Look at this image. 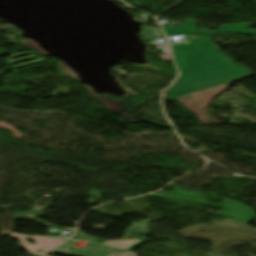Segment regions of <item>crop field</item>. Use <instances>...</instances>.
Instances as JSON below:
<instances>
[{"label": "crop field", "mask_w": 256, "mask_h": 256, "mask_svg": "<svg viewBox=\"0 0 256 256\" xmlns=\"http://www.w3.org/2000/svg\"><path fill=\"white\" fill-rule=\"evenodd\" d=\"M172 47L182 75L168 91L167 100L255 74L233 64L216 49L209 36Z\"/></svg>", "instance_id": "8a807250"}, {"label": "crop field", "mask_w": 256, "mask_h": 256, "mask_svg": "<svg viewBox=\"0 0 256 256\" xmlns=\"http://www.w3.org/2000/svg\"><path fill=\"white\" fill-rule=\"evenodd\" d=\"M2 233L9 234V235H12L13 237L19 238L23 243V245L26 247V249L35 254H44L63 241L62 239H54V238H47V237H41V236L28 237V236L18 235L14 233H9V232H2ZM24 238L33 239L38 243L35 245H30L27 241L24 240ZM35 249H40L45 251L43 253H38L35 251Z\"/></svg>", "instance_id": "ac0d7876"}, {"label": "crop field", "mask_w": 256, "mask_h": 256, "mask_svg": "<svg viewBox=\"0 0 256 256\" xmlns=\"http://www.w3.org/2000/svg\"><path fill=\"white\" fill-rule=\"evenodd\" d=\"M250 26H251V24L225 25V26H222L220 31H214V32H203L202 31L199 34H201L202 36H205V35L212 36L214 34H223V33L231 32V33L256 35V32H252L249 29Z\"/></svg>", "instance_id": "34b2d1b8"}, {"label": "crop field", "mask_w": 256, "mask_h": 256, "mask_svg": "<svg viewBox=\"0 0 256 256\" xmlns=\"http://www.w3.org/2000/svg\"><path fill=\"white\" fill-rule=\"evenodd\" d=\"M185 25L187 27H184ZM162 27L164 28L168 36L194 34L201 31L197 27H195L194 20H187L181 27H178V28H169L165 26H162Z\"/></svg>", "instance_id": "412701ff"}, {"label": "crop field", "mask_w": 256, "mask_h": 256, "mask_svg": "<svg viewBox=\"0 0 256 256\" xmlns=\"http://www.w3.org/2000/svg\"><path fill=\"white\" fill-rule=\"evenodd\" d=\"M150 220L138 222L127 229L126 232L148 233V224Z\"/></svg>", "instance_id": "f4fd0767"}, {"label": "crop field", "mask_w": 256, "mask_h": 256, "mask_svg": "<svg viewBox=\"0 0 256 256\" xmlns=\"http://www.w3.org/2000/svg\"><path fill=\"white\" fill-rule=\"evenodd\" d=\"M140 240H132V241H107L103 244L108 245L110 247H114V248H122V249H126L128 247H130L131 245L137 243Z\"/></svg>", "instance_id": "dd49c442"}, {"label": "crop field", "mask_w": 256, "mask_h": 256, "mask_svg": "<svg viewBox=\"0 0 256 256\" xmlns=\"http://www.w3.org/2000/svg\"><path fill=\"white\" fill-rule=\"evenodd\" d=\"M39 215H43V214H41L39 212H33V213L25 212V213H22V214L14 216V218L20 219V218H23V217H27V218H29L31 220H34V221H37V222H39V223H41L43 225H49V224H46V223L42 222L39 219H35V217L39 216Z\"/></svg>", "instance_id": "e52e79f7"}, {"label": "crop field", "mask_w": 256, "mask_h": 256, "mask_svg": "<svg viewBox=\"0 0 256 256\" xmlns=\"http://www.w3.org/2000/svg\"><path fill=\"white\" fill-rule=\"evenodd\" d=\"M74 243L72 241H67L66 245L65 246H62V247H59L57 248L56 250H54V252H58V253H63V254H67V255H70V251H67V250H64L62 249L63 247H68V248H72V245Z\"/></svg>", "instance_id": "d8731c3e"}, {"label": "crop field", "mask_w": 256, "mask_h": 256, "mask_svg": "<svg viewBox=\"0 0 256 256\" xmlns=\"http://www.w3.org/2000/svg\"><path fill=\"white\" fill-rule=\"evenodd\" d=\"M160 46L163 47V50H164V54L162 56H160V58H166V62L170 63L171 59H170V56H169L167 46H164V45H160Z\"/></svg>", "instance_id": "5a996713"}, {"label": "crop field", "mask_w": 256, "mask_h": 256, "mask_svg": "<svg viewBox=\"0 0 256 256\" xmlns=\"http://www.w3.org/2000/svg\"><path fill=\"white\" fill-rule=\"evenodd\" d=\"M100 194H102V192L92 190L91 191V198H90L89 201H87V203H91L92 205H94L93 202H96V200H93V196H96L97 199H98Z\"/></svg>", "instance_id": "3316defc"}, {"label": "crop field", "mask_w": 256, "mask_h": 256, "mask_svg": "<svg viewBox=\"0 0 256 256\" xmlns=\"http://www.w3.org/2000/svg\"><path fill=\"white\" fill-rule=\"evenodd\" d=\"M118 256H138L137 254L135 253H132V252H129V251H126Z\"/></svg>", "instance_id": "28ad6ade"}, {"label": "crop field", "mask_w": 256, "mask_h": 256, "mask_svg": "<svg viewBox=\"0 0 256 256\" xmlns=\"http://www.w3.org/2000/svg\"><path fill=\"white\" fill-rule=\"evenodd\" d=\"M119 252L118 251H116V252H114V253H112V254H110L109 256H115V255H117Z\"/></svg>", "instance_id": "d1516ede"}]
</instances>
